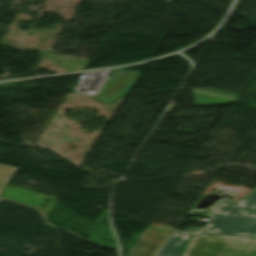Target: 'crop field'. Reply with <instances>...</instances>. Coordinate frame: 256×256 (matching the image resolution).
Wrapping results in <instances>:
<instances>
[{
	"label": "crop field",
	"instance_id": "8a807250",
	"mask_svg": "<svg viewBox=\"0 0 256 256\" xmlns=\"http://www.w3.org/2000/svg\"><path fill=\"white\" fill-rule=\"evenodd\" d=\"M191 215L211 218L206 228L176 231L158 256H181L191 235L256 237V188L239 202L222 200L206 212L192 211Z\"/></svg>",
	"mask_w": 256,
	"mask_h": 256
},
{
	"label": "crop field",
	"instance_id": "412701ff",
	"mask_svg": "<svg viewBox=\"0 0 256 256\" xmlns=\"http://www.w3.org/2000/svg\"><path fill=\"white\" fill-rule=\"evenodd\" d=\"M116 71L117 70L111 71L115 72V74L112 78L106 81L103 89L101 88L102 90L100 93L97 96L92 97L93 99L102 102H114L117 97L126 95L140 75L138 72L127 71V73H116Z\"/></svg>",
	"mask_w": 256,
	"mask_h": 256
},
{
	"label": "crop field",
	"instance_id": "34b2d1b8",
	"mask_svg": "<svg viewBox=\"0 0 256 256\" xmlns=\"http://www.w3.org/2000/svg\"><path fill=\"white\" fill-rule=\"evenodd\" d=\"M173 230L147 226L126 256H155Z\"/></svg>",
	"mask_w": 256,
	"mask_h": 256
},
{
	"label": "crop field",
	"instance_id": "dd49c442",
	"mask_svg": "<svg viewBox=\"0 0 256 256\" xmlns=\"http://www.w3.org/2000/svg\"><path fill=\"white\" fill-rule=\"evenodd\" d=\"M15 169V166L0 164V192Z\"/></svg>",
	"mask_w": 256,
	"mask_h": 256
},
{
	"label": "crop field",
	"instance_id": "f4fd0767",
	"mask_svg": "<svg viewBox=\"0 0 256 256\" xmlns=\"http://www.w3.org/2000/svg\"><path fill=\"white\" fill-rule=\"evenodd\" d=\"M237 98L238 95L213 88L193 89V105L227 104Z\"/></svg>",
	"mask_w": 256,
	"mask_h": 256
},
{
	"label": "crop field",
	"instance_id": "ac0d7876",
	"mask_svg": "<svg viewBox=\"0 0 256 256\" xmlns=\"http://www.w3.org/2000/svg\"><path fill=\"white\" fill-rule=\"evenodd\" d=\"M219 252L223 254H218ZM183 256H256V240L226 236H195L192 237Z\"/></svg>",
	"mask_w": 256,
	"mask_h": 256
}]
</instances>
